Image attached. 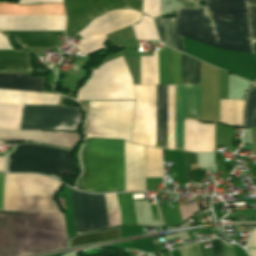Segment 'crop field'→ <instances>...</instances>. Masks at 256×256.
Listing matches in <instances>:
<instances>
[{"label": "crop field", "instance_id": "obj_12", "mask_svg": "<svg viewBox=\"0 0 256 256\" xmlns=\"http://www.w3.org/2000/svg\"><path fill=\"white\" fill-rule=\"evenodd\" d=\"M159 84L200 85V62L165 46L158 50Z\"/></svg>", "mask_w": 256, "mask_h": 256}, {"label": "crop field", "instance_id": "obj_23", "mask_svg": "<svg viewBox=\"0 0 256 256\" xmlns=\"http://www.w3.org/2000/svg\"><path fill=\"white\" fill-rule=\"evenodd\" d=\"M162 43L184 53L182 37L177 35L175 19H154Z\"/></svg>", "mask_w": 256, "mask_h": 256}, {"label": "crop field", "instance_id": "obj_28", "mask_svg": "<svg viewBox=\"0 0 256 256\" xmlns=\"http://www.w3.org/2000/svg\"><path fill=\"white\" fill-rule=\"evenodd\" d=\"M116 195L120 206L122 224L136 225L131 193Z\"/></svg>", "mask_w": 256, "mask_h": 256}, {"label": "crop field", "instance_id": "obj_43", "mask_svg": "<svg viewBox=\"0 0 256 256\" xmlns=\"http://www.w3.org/2000/svg\"><path fill=\"white\" fill-rule=\"evenodd\" d=\"M0 171H5V157H0Z\"/></svg>", "mask_w": 256, "mask_h": 256}, {"label": "crop field", "instance_id": "obj_25", "mask_svg": "<svg viewBox=\"0 0 256 256\" xmlns=\"http://www.w3.org/2000/svg\"><path fill=\"white\" fill-rule=\"evenodd\" d=\"M22 105L0 103V128L19 130Z\"/></svg>", "mask_w": 256, "mask_h": 256}, {"label": "crop field", "instance_id": "obj_29", "mask_svg": "<svg viewBox=\"0 0 256 256\" xmlns=\"http://www.w3.org/2000/svg\"><path fill=\"white\" fill-rule=\"evenodd\" d=\"M118 238H120L119 229L98 232V233H93V234L73 238L70 247L86 244V243L98 242V241L114 240Z\"/></svg>", "mask_w": 256, "mask_h": 256}, {"label": "crop field", "instance_id": "obj_40", "mask_svg": "<svg viewBox=\"0 0 256 256\" xmlns=\"http://www.w3.org/2000/svg\"><path fill=\"white\" fill-rule=\"evenodd\" d=\"M0 49H12L8 43V39L0 34Z\"/></svg>", "mask_w": 256, "mask_h": 256}, {"label": "crop field", "instance_id": "obj_31", "mask_svg": "<svg viewBox=\"0 0 256 256\" xmlns=\"http://www.w3.org/2000/svg\"><path fill=\"white\" fill-rule=\"evenodd\" d=\"M168 149L174 150V86H167Z\"/></svg>", "mask_w": 256, "mask_h": 256}, {"label": "crop field", "instance_id": "obj_3", "mask_svg": "<svg viewBox=\"0 0 256 256\" xmlns=\"http://www.w3.org/2000/svg\"><path fill=\"white\" fill-rule=\"evenodd\" d=\"M5 175L3 211L60 213L52 197L61 183L38 175Z\"/></svg>", "mask_w": 256, "mask_h": 256}, {"label": "crop field", "instance_id": "obj_42", "mask_svg": "<svg viewBox=\"0 0 256 256\" xmlns=\"http://www.w3.org/2000/svg\"><path fill=\"white\" fill-rule=\"evenodd\" d=\"M3 176L4 175H0V211H2Z\"/></svg>", "mask_w": 256, "mask_h": 256}, {"label": "crop field", "instance_id": "obj_33", "mask_svg": "<svg viewBox=\"0 0 256 256\" xmlns=\"http://www.w3.org/2000/svg\"><path fill=\"white\" fill-rule=\"evenodd\" d=\"M215 256H234L233 246L226 245L219 239L211 240Z\"/></svg>", "mask_w": 256, "mask_h": 256}, {"label": "crop field", "instance_id": "obj_26", "mask_svg": "<svg viewBox=\"0 0 256 256\" xmlns=\"http://www.w3.org/2000/svg\"><path fill=\"white\" fill-rule=\"evenodd\" d=\"M28 70L27 54L14 51H0V71Z\"/></svg>", "mask_w": 256, "mask_h": 256}, {"label": "crop field", "instance_id": "obj_39", "mask_svg": "<svg viewBox=\"0 0 256 256\" xmlns=\"http://www.w3.org/2000/svg\"><path fill=\"white\" fill-rule=\"evenodd\" d=\"M38 2H63V0H19L20 4L38 3Z\"/></svg>", "mask_w": 256, "mask_h": 256}, {"label": "crop field", "instance_id": "obj_22", "mask_svg": "<svg viewBox=\"0 0 256 256\" xmlns=\"http://www.w3.org/2000/svg\"><path fill=\"white\" fill-rule=\"evenodd\" d=\"M157 147L167 149L166 86L156 85Z\"/></svg>", "mask_w": 256, "mask_h": 256}, {"label": "crop field", "instance_id": "obj_44", "mask_svg": "<svg viewBox=\"0 0 256 256\" xmlns=\"http://www.w3.org/2000/svg\"><path fill=\"white\" fill-rule=\"evenodd\" d=\"M251 256H256V248H247Z\"/></svg>", "mask_w": 256, "mask_h": 256}, {"label": "crop field", "instance_id": "obj_27", "mask_svg": "<svg viewBox=\"0 0 256 256\" xmlns=\"http://www.w3.org/2000/svg\"><path fill=\"white\" fill-rule=\"evenodd\" d=\"M146 177H162L161 149L145 146Z\"/></svg>", "mask_w": 256, "mask_h": 256}, {"label": "crop field", "instance_id": "obj_2", "mask_svg": "<svg viewBox=\"0 0 256 256\" xmlns=\"http://www.w3.org/2000/svg\"><path fill=\"white\" fill-rule=\"evenodd\" d=\"M84 190L124 191L122 140H85Z\"/></svg>", "mask_w": 256, "mask_h": 256}, {"label": "crop field", "instance_id": "obj_38", "mask_svg": "<svg viewBox=\"0 0 256 256\" xmlns=\"http://www.w3.org/2000/svg\"><path fill=\"white\" fill-rule=\"evenodd\" d=\"M128 4L135 10L141 12V3L142 0H126Z\"/></svg>", "mask_w": 256, "mask_h": 256}, {"label": "crop field", "instance_id": "obj_9", "mask_svg": "<svg viewBox=\"0 0 256 256\" xmlns=\"http://www.w3.org/2000/svg\"><path fill=\"white\" fill-rule=\"evenodd\" d=\"M76 107L23 105L20 130H55L75 128ZM80 112L77 109L76 131Z\"/></svg>", "mask_w": 256, "mask_h": 256}, {"label": "crop field", "instance_id": "obj_10", "mask_svg": "<svg viewBox=\"0 0 256 256\" xmlns=\"http://www.w3.org/2000/svg\"><path fill=\"white\" fill-rule=\"evenodd\" d=\"M135 106L131 142L156 147L155 85H133Z\"/></svg>", "mask_w": 256, "mask_h": 256}, {"label": "crop field", "instance_id": "obj_13", "mask_svg": "<svg viewBox=\"0 0 256 256\" xmlns=\"http://www.w3.org/2000/svg\"><path fill=\"white\" fill-rule=\"evenodd\" d=\"M71 198L77 235L108 228L103 194L71 189Z\"/></svg>", "mask_w": 256, "mask_h": 256}, {"label": "crop field", "instance_id": "obj_14", "mask_svg": "<svg viewBox=\"0 0 256 256\" xmlns=\"http://www.w3.org/2000/svg\"><path fill=\"white\" fill-rule=\"evenodd\" d=\"M68 17L66 34L72 37L98 14L117 8H129L124 0H64Z\"/></svg>", "mask_w": 256, "mask_h": 256}, {"label": "crop field", "instance_id": "obj_32", "mask_svg": "<svg viewBox=\"0 0 256 256\" xmlns=\"http://www.w3.org/2000/svg\"><path fill=\"white\" fill-rule=\"evenodd\" d=\"M256 126V87L253 85L247 102V111L244 127Z\"/></svg>", "mask_w": 256, "mask_h": 256}, {"label": "crop field", "instance_id": "obj_36", "mask_svg": "<svg viewBox=\"0 0 256 256\" xmlns=\"http://www.w3.org/2000/svg\"><path fill=\"white\" fill-rule=\"evenodd\" d=\"M178 251L181 256H201L198 245L188 246Z\"/></svg>", "mask_w": 256, "mask_h": 256}, {"label": "crop field", "instance_id": "obj_35", "mask_svg": "<svg viewBox=\"0 0 256 256\" xmlns=\"http://www.w3.org/2000/svg\"><path fill=\"white\" fill-rule=\"evenodd\" d=\"M200 208L198 203L186 205V206H179V213L181 215L182 220L184 221L188 216H190L194 211Z\"/></svg>", "mask_w": 256, "mask_h": 256}, {"label": "crop field", "instance_id": "obj_21", "mask_svg": "<svg viewBox=\"0 0 256 256\" xmlns=\"http://www.w3.org/2000/svg\"><path fill=\"white\" fill-rule=\"evenodd\" d=\"M1 32L8 36H14L20 44L29 46V47L57 48L58 35H65L64 31H1Z\"/></svg>", "mask_w": 256, "mask_h": 256}, {"label": "crop field", "instance_id": "obj_15", "mask_svg": "<svg viewBox=\"0 0 256 256\" xmlns=\"http://www.w3.org/2000/svg\"><path fill=\"white\" fill-rule=\"evenodd\" d=\"M200 86H175V149L182 150L183 118H199Z\"/></svg>", "mask_w": 256, "mask_h": 256}, {"label": "crop field", "instance_id": "obj_4", "mask_svg": "<svg viewBox=\"0 0 256 256\" xmlns=\"http://www.w3.org/2000/svg\"><path fill=\"white\" fill-rule=\"evenodd\" d=\"M134 99L132 81L123 57L93 70L78 92V100Z\"/></svg>", "mask_w": 256, "mask_h": 256}, {"label": "crop field", "instance_id": "obj_19", "mask_svg": "<svg viewBox=\"0 0 256 256\" xmlns=\"http://www.w3.org/2000/svg\"><path fill=\"white\" fill-rule=\"evenodd\" d=\"M0 138L6 140H33L69 148L77 141L75 133L43 131L0 130Z\"/></svg>", "mask_w": 256, "mask_h": 256}, {"label": "crop field", "instance_id": "obj_24", "mask_svg": "<svg viewBox=\"0 0 256 256\" xmlns=\"http://www.w3.org/2000/svg\"><path fill=\"white\" fill-rule=\"evenodd\" d=\"M244 101L220 100V122L241 126Z\"/></svg>", "mask_w": 256, "mask_h": 256}, {"label": "crop field", "instance_id": "obj_5", "mask_svg": "<svg viewBox=\"0 0 256 256\" xmlns=\"http://www.w3.org/2000/svg\"><path fill=\"white\" fill-rule=\"evenodd\" d=\"M134 101L90 102L87 137L130 141Z\"/></svg>", "mask_w": 256, "mask_h": 256}, {"label": "crop field", "instance_id": "obj_34", "mask_svg": "<svg viewBox=\"0 0 256 256\" xmlns=\"http://www.w3.org/2000/svg\"><path fill=\"white\" fill-rule=\"evenodd\" d=\"M254 52L256 56V0H248Z\"/></svg>", "mask_w": 256, "mask_h": 256}, {"label": "crop field", "instance_id": "obj_41", "mask_svg": "<svg viewBox=\"0 0 256 256\" xmlns=\"http://www.w3.org/2000/svg\"><path fill=\"white\" fill-rule=\"evenodd\" d=\"M185 4L187 7H193L196 8L197 4L199 3L200 0H178Z\"/></svg>", "mask_w": 256, "mask_h": 256}, {"label": "crop field", "instance_id": "obj_6", "mask_svg": "<svg viewBox=\"0 0 256 256\" xmlns=\"http://www.w3.org/2000/svg\"><path fill=\"white\" fill-rule=\"evenodd\" d=\"M44 147L18 145L16 151L9 155V171L53 173L59 177L72 172L69 151Z\"/></svg>", "mask_w": 256, "mask_h": 256}, {"label": "crop field", "instance_id": "obj_11", "mask_svg": "<svg viewBox=\"0 0 256 256\" xmlns=\"http://www.w3.org/2000/svg\"><path fill=\"white\" fill-rule=\"evenodd\" d=\"M140 13L117 10L95 18L79 35L83 38L76 46L83 54L104 48L106 34L138 22Z\"/></svg>", "mask_w": 256, "mask_h": 256}, {"label": "crop field", "instance_id": "obj_18", "mask_svg": "<svg viewBox=\"0 0 256 256\" xmlns=\"http://www.w3.org/2000/svg\"><path fill=\"white\" fill-rule=\"evenodd\" d=\"M214 125H203L184 120V150L189 152H213Z\"/></svg>", "mask_w": 256, "mask_h": 256}, {"label": "crop field", "instance_id": "obj_8", "mask_svg": "<svg viewBox=\"0 0 256 256\" xmlns=\"http://www.w3.org/2000/svg\"><path fill=\"white\" fill-rule=\"evenodd\" d=\"M28 73H0V88L44 92V78H30ZM58 95L0 89V102L57 105Z\"/></svg>", "mask_w": 256, "mask_h": 256}, {"label": "crop field", "instance_id": "obj_37", "mask_svg": "<svg viewBox=\"0 0 256 256\" xmlns=\"http://www.w3.org/2000/svg\"><path fill=\"white\" fill-rule=\"evenodd\" d=\"M246 247H256V227L254 228L253 232L251 233Z\"/></svg>", "mask_w": 256, "mask_h": 256}, {"label": "crop field", "instance_id": "obj_20", "mask_svg": "<svg viewBox=\"0 0 256 256\" xmlns=\"http://www.w3.org/2000/svg\"><path fill=\"white\" fill-rule=\"evenodd\" d=\"M216 63L253 79L256 78L254 55L220 50Z\"/></svg>", "mask_w": 256, "mask_h": 256}, {"label": "crop field", "instance_id": "obj_16", "mask_svg": "<svg viewBox=\"0 0 256 256\" xmlns=\"http://www.w3.org/2000/svg\"><path fill=\"white\" fill-rule=\"evenodd\" d=\"M65 16L0 15V30H64Z\"/></svg>", "mask_w": 256, "mask_h": 256}, {"label": "crop field", "instance_id": "obj_1", "mask_svg": "<svg viewBox=\"0 0 256 256\" xmlns=\"http://www.w3.org/2000/svg\"><path fill=\"white\" fill-rule=\"evenodd\" d=\"M202 9L177 11L178 34L210 46L253 53L247 0H205Z\"/></svg>", "mask_w": 256, "mask_h": 256}, {"label": "crop field", "instance_id": "obj_30", "mask_svg": "<svg viewBox=\"0 0 256 256\" xmlns=\"http://www.w3.org/2000/svg\"><path fill=\"white\" fill-rule=\"evenodd\" d=\"M66 234L62 214H53V250L66 248Z\"/></svg>", "mask_w": 256, "mask_h": 256}, {"label": "crop field", "instance_id": "obj_7", "mask_svg": "<svg viewBox=\"0 0 256 256\" xmlns=\"http://www.w3.org/2000/svg\"><path fill=\"white\" fill-rule=\"evenodd\" d=\"M52 250V214L15 215V256Z\"/></svg>", "mask_w": 256, "mask_h": 256}, {"label": "crop field", "instance_id": "obj_17", "mask_svg": "<svg viewBox=\"0 0 256 256\" xmlns=\"http://www.w3.org/2000/svg\"><path fill=\"white\" fill-rule=\"evenodd\" d=\"M125 144V191L145 190L144 146Z\"/></svg>", "mask_w": 256, "mask_h": 256}]
</instances>
